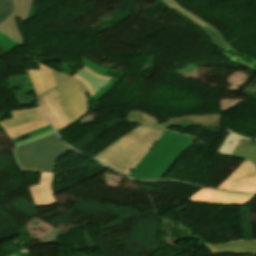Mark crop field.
I'll return each instance as SVG.
<instances>
[{
	"mask_svg": "<svg viewBox=\"0 0 256 256\" xmlns=\"http://www.w3.org/2000/svg\"><path fill=\"white\" fill-rule=\"evenodd\" d=\"M162 134L138 126L93 158L128 176Z\"/></svg>",
	"mask_w": 256,
	"mask_h": 256,
	"instance_id": "8a807250",
	"label": "crop field"
},
{
	"mask_svg": "<svg viewBox=\"0 0 256 256\" xmlns=\"http://www.w3.org/2000/svg\"><path fill=\"white\" fill-rule=\"evenodd\" d=\"M12 154L20 171L52 173L56 160L69 152L53 130L14 144Z\"/></svg>",
	"mask_w": 256,
	"mask_h": 256,
	"instance_id": "ac0d7876",
	"label": "crop field"
},
{
	"mask_svg": "<svg viewBox=\"0 0 256 256\" xmlns=\"http://www.w3.org/2000/svg\"><path fill=\"white\" fill-rule=\"evenodd\" d=\"M193 139L166 131L129 177L161 179Z\"/></svg>",
	"mask_w": 256,
	"mask_h": 256,
	"instance_id": "34b2d1b8",
	"label": "crop field"
},
{
	"mask_svg": "<svg viewBox=\"0 0 256 256\" xmlns=\"http://www.w3.org/2000/svg\"><path fill=\"white\" fill-rule=\"evenodd\" d=\"M52 73L62 96V98L57 99V102L73 124L81 116L88 113L85 90L75 79L55 70H52Z\"/></svg>",
	"mask_w": 256,
	"mask_h": 256,
	"instance_id": "412701ff",
	"label": "crop field"
},
{
	"mask_svg": "<svg viewBox=\"0 0 256 256\" xmlns=\"http://www.w3.org/2000/svg\"><path fill=\"white\" fill-rule=\"evenodd\" d=\"M218 188L236 192L256 193V170L252 163L244 160Z\"/></svg>",
	"mask_w": 256,
	"mask_h": 256,
	"instance_id": "f4fd0767",
	"label": "crop field"
},
{
	"mask_svg": "<svg viewBox=\"0 0 256 256\" xmlns=\"http://www.w3.org/2000/svg\"><path fill=\"white\" fill-rule=\"evenodd\" d=\"M39 98V104L47 114L57 132L72 125L55 99L60 98L57 89L44 93Z\"/></svg>",
	"mask_w": 256,
	"mask_h": 256,
	"instance_id": "dd49c442",
	"label": "crop field"
},
{
	"mask_svg": "<svg viewBox=\"0 0 256 256\" xmlns=\"http://www.w3.org/2000/svg\"><path fill=\"white\" fill-rule=\"evenodd\" d=\"M255 196L242 194H228L220 191L201 189L193 195L189 201H197L213 204L244 205Z\"/></svg>",
	"mask_w": 256,
	"mask_h": 256,
	"instance_id": "e52e79f7",
	"label": "crop field"
},
{
	"mask_svg": "<svg viewBox=\"0 0 256 256\" xmlns=\"http://www.w3.org/2000/svg\"><path fill=\"white\" fill-rule=\"evenodd\" d=\"M165 128L170 126L188 127V126H215L220 127V114L198 115V116H183L169 119L161 122Z\"/></svg>",
	"mask_w": 256,
	"mask_h": 256,
	"instance_id": "d8731c3e",
	"label": "crop field"
},
{
	"mask_svg": "<svg viewBox=\"0 0 256 256\" xmlns=\"http://www.w3.org/2000/svg\"><path fill=\"white\" fill-rule=\"evenodd\" d=\"M51 178L52 174L42 173L40 185L28 188L35 206L56 203L50 190Z\"/></svg>",
	"mask_w": 256,
	"mask_h": 256,
	"instance_id": "5a996713",
	"label": "crop field"
},
{
	"mask_svg": "<svg viewBox=\"0 0 256 256\" xmlns=\"http://www.w3.org/2000/svg\"><path fill=\"white\" fill-rule=\"evenodd\" d=\"M26 71L37 95L56 86L50 68L41 65V69Z\"/></svg>",
	"mask_w": 256,
	"mask_h": 256,
	"instance_id": "3316defc",
	"label": "crop field"
},
{
	"mask_svg": "<svg viewBox=\"0 0 256 256\" xmlns=\"http://www.w3.org/2000/svg\"><path fill=\"white\" fill-rule=\"evenodd\" d=\"M11 112L15 119L0 122V126L3 130L44 118V115L39 107L15 110Z\"/></svg>",
	"mask_w": 256,
	"mask_h": 256,
	"instance_id": "28ad6ade",
	"label": "crop field"
},
{
	"mask_svg": "<svg viewBox=\"0 0 256 256\" xmlns=\"http://www.w3.org/2000/svg\"><path fill=\"white\" fill-rule=\"evenodd\" d=\"M212 252H249L256 253V240H234L205 245Z\"/></svg>",
	"mask_w": 256,
	"mask_h": 256,
	"instance_id": "d1516ede",
	"label": "crop field"
},
{
	"mask_svg": "<svg viewBox=\"0 0 256 256\" xmlns=\"http://www.w3.org/2000/svg\"><path fill=\"white\" fill-rule=\"evenodd\" d=\"M13 2L14 11L3 23L0 24V30L3 31L4 34L8 35L10 38L16 40L20 44H23L22 36L16 24V14L19 6V0H13Z\"/></svg>",
	"mask_w": 256,
	"mask_h": 256,
	"instance_id": "22f410ed",
	"label": "crop field"
},
{
	"mask_svg": "<svg viewBox=\"0 0 256 256\" xmlns=\"http://www.w3.org/2000/svg\"><path fill=\"white\" fill-rule=\"evenodd\" d=\"M225 129L227 130V132L229 134L225 137L222 144L220 145V147L217 150L218 152H220L222 154L231 155V153L233 152V150L238 145V143L240 142L241 139L255 140L254 143H256V139H254V138H248V137L242 136L240 134L230 131L226 127H225Z\"/></svg>",
	"mask_w": 256,
	"mask_h": 256,
	"instance_id": "cbeb9de0",
	"label": "crop field"
},
{
	"mask_svg": "<svg viewBox=\"0 0 256 256\" xmlns=\"http://www.w3.org/2000/svg\"><path fill=\"white\" fill-rule=\"evenodd\" d=\"M46 126H49L48 121L46 120V118L26 124V125H22L7 131H4L5 134L8 136V138L13 139L15 137L21 136L23 134L29 133L31 131H35L41 128H44Z\"/></svg>",
	"mask_w": 256,
	"mask_h": 256,
	"instance_id": "5142ce71",
	"label": "crop field"
},
{
	"mask_svg": "<svg viewBox=\"0 0 256 256\" xmlns=\"http://www.w3.org/2000/svg\"><path fill=\"white\" fill-rule=\"evenodd\" d=\"M254 141L241 140L232 156L241 157L250 160L256 167V144Z\"/></svg>",
	"mask_w": 256,
	"mask_h": 256,
	"instance_id": "d9b57169",
	"label": "crop field"
},
{
	"mask_svg": "<svg viewBox=\"0 0 256 256\" xmlns=\"http://www.w3.org/2000/svg\"><path fill=\"white\" fill-rule=\"evenodd\" d=\"M126 121L134 122L141 124L146 127H150L156 130L165 132L166 130L162 129L155 121L153 117L145 113L140 112H129L125 118Z\"/></svg>",
	"mask_w": 256,
	"mask_h": 256,
	"instance_id": "733c2abd",
	"label": "crop field"
},
{
	"mask_svg": "<svg viewBox=\"0 0 256 256\" xmlns=\"http://www.w3.org/2000/svg\"><path fill=\"white\" fill-rule=\"evenodd\" d=\"M222 53L227 58H229V59H231L249 69L256 71V62L255 61H252V60L240 55L239 53L235 52L232 48L227 51H223Z\"/></svg>",
	"mask_w": 256,
	"mask_h": 256,
	"instance_id": "4a817a6b",
	"label": "crop field"
},
{
	"mask_svg": "<svg viewBox=\"0 0 256 256\" xmlns=\"http://www.w3.org/2000/svg\"><path fill=\"white\" fill-rule=\"evenodd\" d=\"M168 7L174 9L175 11H177L178 13H180L181 15L185 16L186 18H188L189 20H191L193 23H195L196 25L203 27L205 25H208L207 23H205L204 21L200 20L199 18H197L196 16L192 15L191 13H189L188 11L184 10L183 8H181L176 2L175 0H162Z\"/></svg>",
	"mask_w": 256,
	"mask_h": 256,
	"instance_id": "bc2a9ffb",
	"label": "crop field"
},
{
	"mask_svg": "<svg viewBox=\"0 0 256 256\" xmlns=\"http://www.w3.org/2000/svg\"><path fill=\"white\" fill-rule=\"evenodd\" d=\"M81 77H83L90 85L91 89L94 93H97V91L102 88L104 85H106L109 81L98 79L89 73H87L85 70L81 69L77 73H75ZM101 90V89H100ZM99 90V91H100Z\"/></svg>",
	"mask_w": 256,
	"mask_h": 256,
	"instance_id": "214f88e0",
	"label": "crop field"
},
{
	"mask_svg": "<svg viewBox=\"0 0 256 256\" xmlns=\"http://www.w3.org/2000/svg\"><path fill=\"white\" fill-rule=\"evenodd\" d=\"M214 41L216 47L220 50H226L231 48L226 42L225 40L221 37L220 33L213 28L212 26L208 25L206 27L202 28Z\"/></svg>",
	"mask_w": 256,
	"mask_h": 256,
	"instance_id": "92a150f3",
	"label": "crop field"
},
{
	"mask_svg": "<svg viewBox=\"0 0 256 256\" xmlns=\"http://www.w3.org/2000/svg\"><path fill=\"white\" fill-rule=\"evenodd\" d=\"M13 11L12 0H0V23Z\"/></svg>",
	"mask_w": 256,
	"mask_h": 256,
	"instance_id": "dafd665d",
	"label": "crop field"
},
{
	"mask_svg": "<svg viewBox=\"0 0 256 256\" xmlns=\"http://www.w3.org/2000/svg\"><path fill=\"white\" fill-rule=\"evenodd\" d=\"M32 0H20V6L17 18L21 21H26L28 18L30 6H31Z\"/></svg>",
	"mask_w": 256,
	"mask_h": 256,
	"instance_id": "00972430",
	"label": "crop field"
},
{
	"mask_svg": "<svg viewBox=\"0 0 256 256\" xmlns=\"http://www.w3.org/2000/svg\"><path fill=\"white\" fill-rule=\"evenodd\" d=\"M166 221L174 224L175 226L181 228L182 230L186 231L187 233L193 235L196 239H198L200 242L204 243V244H210L208 243L206 240H204L202 237H200L198 234H196L195 232H193L191 229H189L188 227H186L184 224H182L181 222L179 224L169 220V219H165Z\"/></svg>",
	"mask_w": 256,
	"mask_h": 256,
	"instance_id": "a9b5d70f",
	"label": "crop field"
},
{
	"mask_svg": "<svg viewBox=\"0 0 256 256\" xmlns=\"http://www.w3.org/2000/svg\"><path fill=\"white\" fill-rule=\"evenodd\" d=\"M75 78H77V79H79L80 80V82L85 86V88H86V90L88 91V93L90 94V96L92 97L93 95H94V93L92 92V90L90 89V87L88 86V84H87V82L83 79V78H81V77H79V76H77V75H73ZM73 77V78H74Z\"/></svg>",
	"mask_w": 256,
	"mask_h": 256,
	"instance_id": "4177f3b9",
	"label": "crop field"
},
{
	"mask_svg": "<svg viewBox=\"0 0 256 256\" xmlns=\"http://www.w3.org/2000/svg\"><path fill=\"white\" fill-rule=\"evenodd\" d=\"M83 69H85L86 71H88L90 74L94 75V76H97L99 78H103V79H107V80H112L111 78L109 77H105V76H100L98 75L97 73L93 72L91 69L87 68V67H83Z\"/></svg>",
	"mask_w": 256,
	"mask_h": 256,
	"instance_id": "730fd06b",
	"label": "crop field"
},
{
	"mask_svg": "<svg viewBox=\"0 0 256 256\" xmlns=\"http://www.w3.org/2000/svg\"><path fill=\"white\" fill-rule=\"evenodd\" d=\"M13 256H20V254H16V255H13Z\"/></svg>",
	"mask_w": 256,
	"mask_h": 256,
	"instance_id": "eef30255",
	"label": "crop field"
},
{
	"mask_svg": "<svg viewBox=\"0 0 256 256\" xmlns=\"http://www.w3.org/2000/svg\"><path fill=\"white\" fill-rule=\"evenodd\" d=\"M89 1V0H88Z\"/></svg>",
	"mask_w": 256,
	"mask_h": 256,
	"instance_id": "ae1a2a85",
	"label": "crop field"
}]
</instances>
